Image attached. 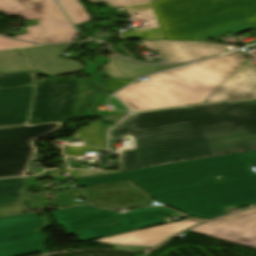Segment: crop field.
<instances>
[{
	"label": "crop field",
	"instance_id": "1",
	"mask_svg": "<svg viewBox=\"0 0 256 256\" xmlns=\"http://www.w3.org/2000/svg\"><path fill=\"white\" fill-rule=\"evenodd\" d=\"M103 117L104 140H132L120 170L256 147V98Z\"/></svg>",
	"mask_w": 256,
	"mask_h": 256
},
{
	"label": "crop field",
	"instance_id": "2",
	"mask_svg": "<svg viewBox=\"0 0 256 256\" xmlns=\"http://www.w3.org/2000/svg\"><path fill=\"white\" fill-rule=\"evenodd\" d=\"M254 164L240 152L76 180L80 187L131 179L161 202L210 219L256 203Z\"/></svg>",
	"mask_w": 256,
	"mask_h": 256
},
{
	"label": "crop field",
	"instance_id": "3",
	"mask_svg": "<svg viewBox=\"0 0 256 256\" xmlns=\"http://www.w3.org/2000/svg\"><path fill=\"white\" fill-rule=\"evenodd\" d=\"M245 59L237 52L148 76L116 93L132 111L202 103Z\"/></svg>",
	"mask_w": 256,
	"mask_h": 256
},
{
	"label": "crop field",
	"instance_id": "4",
	"mask_svg": "<svg viewBox=\"0 0 256 256\" xmlns=\"http://www.w3.org/2000/svg\"><path fill=\"white\" fill-rule=\"evenodd\" d=\"M152 6L166 39H207L256 28V0H160Z\"/></svg>",
	"mask_w": 256,
	"mask_h": 256
},
{
	"label": "crop field",
	"instance_id": "5",
	"mask_svg": "<svg viewBox=\"0 0 256 256\" xmlns=\"http://www.w3.org/2000/svg\"><path fill=\"white\" fill-rule=\"evenodd\" d=\"M171 214H174V211L165 207L143 208L118 215L115 211L89 208L85 206L67 208L51 213L56 222L66 230V233H75L90 226L122 221V223L119 224L91 228L76 234L81 241L169 222V218L163 219L162 216Z\"/></svg>",
	"mask_w": 256,
	"mask_h": 256
},
{
	"label": "crop field",
	"instance_id": "6",
	"mask_svg": "<svg viewBox=\"0 0 256 256\" xmlns=\"http://www.w3.org/2000/svg\"><path fill=\"white\" fill-rule=\"evenodd\" d=\"M66 122L0 128V177L26 175L38 153L33 142Z\"/></svg>",
	"mask_w": 256,
	"mask_h": 256
},
{
	"label": "crop field",
	"instance_id": "7",
	"mask_svg": "<svg viewBox=\"0 0 256 256\" xmlns=\"http://www.w3.org/2000/svg\"><path fill=\"white\" fill-rule=\"evenodd\" d=\"M0 10L8 17L37 19L46 42L73 41L77 34L54 0H0Z\"/></svg>",
	"mask_w": 256,
	"mask_h": 256
},
{
	"label": "crop field",
	"instance_id": "8",
	"mask_svg": "<svg viewBox=\"0 0 256 256\" xmlns=\"http://www.w3.org/2000/svg\"><path fill=\"white\" fill-rule=\"evenodd\" d=\"M77 95V79L39 78L29 124L72 119V106Z\"/></svg>",
	"mask_w": 256,
	"mask_h": 256
},
{
	"label": "crop field",
	"instance_id": "9",
	"mask_svg": "<svg viewBox=\"0 0 256 256\" xmlns=\"http://www.w3.org/2000/svg\"><path fill=\"white\" fill-rule=\"evenodd\" d=\"M31 81L32 72L0 74V87L24 85ZM36 84L0 90V127L28 124Z\"/></svg>",
	"mask_w": 256,
	"mask_h": 256
},
{
	"label": "crop field",
	"instance_id": "10",
	"mask_svg": "<svg viewBox=\"0 0 256 256\" xmlns=\"http://www.w3.org/2000/svg\"><path fill=\"white\" fill-rule=\"evenodd\" d=\"M41 227L34 213L0 217V256H20L44 250L43 234L26 231Z\"/></svg>",
	"mask_w": 256,
	"mask_h": 256
},
{
	"label": "crop field",
	"instance_id": "11",
	"mask_svg": "<svg viewBox=\"0 0 256 256\" xmlns=\"http://www.w3.org/2000/svg\"><path fill=\"white\" fill-rule=\"evenodd\" d=\"M188 231L256 249V208L216 219Z\"/></svg>",
	"mask_w": 256,
	"mask_h": 256
},
{
	"label": "crop field",
	"instance_id": "12",
	"mask_svg": "<svg viewBox=\"0 0 256 256\" xmlns=\"http://www.w3.org/2000/svg\"><path fill=\"white\" fill-rule=\"evenodd\" d=\"M66 45H48L25 48L24 51L33 70L51 75H62L82 70L81 63L59 58Z\"/></svg>",
	"mask_w": 256,
	"mask_h": 256
},
{
	"label": "crop field",
	"instance_id": "13",
	"mask_svg": "<svg viewBox=\"0 0 256 256\" xmlns=\"http://www.w3.org/2000/svg\"><path fill=\"white\" fill-rule=\"evenodd\" d=\"M253 97H256V70L246 61L204 103Z\"/></svg>",
	"mask_w": 256,
	"mask_h": 256
},
{
	"label": "crop field",
	"instance_id": "14",
	"mask_svg": "<svg viewBox=\"0 0 256 256\" xmlns=\"http://www.w3.org/2000/svg\"><path fill=\"white\" fill-rule=\"evenodd\" d=\"M200 222L202 221L189 219L149 229L103 238L96 240V242L154 247L175 233L185 228L194 226Z\"/></svg>",
	"mask_w": 256,
	"mask_h": 256
},
{
	"label": "crop field",
	"instance_id": "15",
	"mask_svg": "<svg viewBox=\"0 0 256 256\" xmlns=\"http://www.w3.org/2000/svg\"><path fill=\"white\" fill-rule=\"evenodd\" d=\"M165 63L195 61L229 51L225 46L211 43L153 41Z\"/></svg>",
	"mask_w": 256,
	"mask_h": 256
},
{
	"label": "crop field",
	"instance_id": "16",
	"mask_svg": "<svg viewBox=\"0 0 256 256\" xmlns=\"http://www.w3.org/2000/svg\"><path fill=\"white\" fill-rule=\"evenodd\" d=\"M109 62L103 66V72L116 79H133L150 73L186 65H160L150 66L125 60L119 56L109 54ZM189 64V63H187Z\"/></svg>",
	"mask_w": 256,
	"mask_h": 256
},
{
	"label": "crop field",
	"instance_id": "17",
	"mask_svg": "<svg viewBox=\"0 0 256 256\" xmlns=\"http://www.w3.org/2000/svg\"><path fill=\"white\" fill-rule=\"evenodd\" d=\"M102 134L101 122H91L90 126L76 132L74 137L80 142L64 147L65 155L82 156L85 151L115 152L110 144L100 139Z\"/></svg>",
	"mask_w": 256,
	"mask_h": 256
},
{
	"label": "crop field",
	"instance_id": "18",
	"mask_svg": "<svg viewBox=\"0 0 256 256\" xmlns=\"http://www.w3.org/2000/svg\"><path fill=\"white\" fill-rule=\"evenodd\" d=\"M125 8L131 13H137L138 15H133L137 20L140 19L143 24L139 29L130 30L122 34L120 39H165L151 4L128 6ZM144 23H147V25H144Z\"/></svg>",
	"mask_w": 256,
	"mask_h": 256
},
{
	"label": "crop field",
	"instance_id": "19",
	"mask_svg": "<svg viewBox=\"0 0 256 256\" xmlns=\"http://www.w3.org/2000/svg\"><path fill=\"white\" fill-rule=\"evenodd\" d=\"M24 185V177L0 179V206L7 205L21 197V189ZM31 197L32 195L27 194L11 206L0 208V216L27 212L28 210L24 207V204Z\"/></svg>",
	"mask_w": 256,
	"mask_h": 256
},
{
	"label": "crop field",
	"instance_id": "20",
	"mask_svg": "<svg viewBox=\"0 0 256 256\" xmlns=\"http://www.w3.org/2000/svg\"><path fill=\"white\" fill-rule=\"evenodd\" d=\"M30 70L21 49L0 51V72L12 73Z\"/></svg>",
	"mask_w": 256,
	"mask_h": 256
},
{
	"label": "crop field",
	"instance_id": "21",
	"mask_svg": "<svg viewBox=\"0 0 256 256\" xmlns=\"http://www.w3.org/2000/svg\"><path fill=\"white\" fill-rule=\"evenodd\" d=\"M74 25L90 20L89 14L78 0H57Z\"/></svg>",
	"mask_w": 256,
	"mask_h": 256
},
{
	"label": "crop field",
	"instance_id": "22",
	"mask_svg": "<svg viewBox=\"0 0 256 256\" xmlns=\"http://www.w3.org/2000/svg\"><path fill=\"white\" fill-rule=\"evenodd\" d=\"M16 39L45 43L38 25L26 27V34L13 36Z\"/></svg>",
	"mask_w": 256,
	"mask_h": 256
},
{
	"label": "crop field",
	"instance_id": "23",
	"mask_svg": "<svg viewBox=\"0 0 256 256\" xmlns=\"http://www.w3.org/2000/svg\"><path fill=\"white\" fill-rule=\"evenodd\" d=\"M101 0H89V2H98ZM105 5L113 8L117 6H128V5H137V4H147L151 3L150 0H104Z\"/></svg>",
	"mask_w": 256,
	"mask_h": 256
},
{
	"label": "crop field",
	"instance_id": "24",
	"mask_svg": "<svg viewBox=\"0 0 256 256\" xmlns=\"http://www.w3.org/2000/svg\"><path fill=\"white\" fill-rule=\"evenodd\" d=\"M93 90H100L96 87L89 89V90H85V91H81L79 92L78 95V99L73 107V119L76 118L77 114L83 110V105L86 103L87 101V97L89 96V94L93 91Z\"/></svg>",
	"mask_w": 256,
	"mask_h": 256
},
{
	"label": "crop field",
	"instance_id": "25",
	"mask_svg": "<svg viewBox=\"0 0 256 256\" xmlns=\"http://www.w3.org/2000/svg\"><path fill=\"white\" fill-rule=\"evenodd\" d=\"M36 44L16 41L8 38L0 37V49L17 48L25 46H34Z\"/></svg>",
	"mask_w": 256,
	"mask_h": 256
},
{
	"label": "crop field",
	"instance_id": "26",
	"mask_svg": "<svg viewBox=\"0 0 256 256\" xmlns=\"http://www.w3.org/2000/svg\"><path fill=\"white\" fill-rule=\"evenodd\" d=\"M132 82V80H103L102 84L112 92Z\"/></svg>",
	"mask_w": 256,
	"mask_h": 256
},
{
	"label": "crop field",
	"instance_id": "27",
	"mask_svg": "<svg viewBox=\"0 0 256 256\" xmlns=\"http://www.w3.org/2000/svg\"><path fill=\"white\" fill-rule=\"evenodd\" d=\"M105 246L112 247L111 250H119V251H141V250L150 249L147 247H133V246H116V245H105Z\"/></svg>",
	"mask_w": 256,
	"mask_h": 256
},
{
	"label": "crop field",
	"instance_id": "28",
	"mask_svg": "<svg viewBox=\"0 0 256 256\" xmlns=\"http://www.w3.org/2000/svg\"><path fill=\"white\" fill-rule=\"evenodd\" d=\"M77 172L80 178L111 173V172H95V171H80V170H77Z\"/></svg>",
	"mask_w": 256,
	"mask_h": 256
},
{
	"label": "crop field",
	"instance_id": "29",
	"mask_svg": "<svg viewBox=\"0 0 256 256\" xmlns=\"http://www.w3.org/2000/svg\"><path fill=\"white\" fill-rule=\"evenodd\" d=\"M78 87H79V91H80V90L91 88L93 86L90 85L89 83H87L85 81V78H83V79H78Z\"/></svg>",
	"mask_w": 256,
	"mask_h": 256
},
{
	"label": "crop field",
	"instance_id": "30",
	"mask_svg": "<svg viewBox=\"0 0 256 256\" xmlns=\"http://www.w3.org/2000/svg\"><path fill=\"white\" fill-rule=\"evenodd\" d=\"M245 156L256 164V150L249 151Z\"/></svg>",
	"mask_w": 256,
	"mask_h": 256
}]
</instances>
